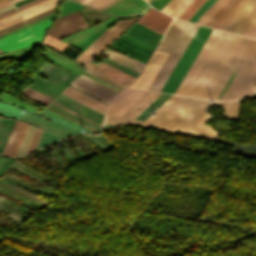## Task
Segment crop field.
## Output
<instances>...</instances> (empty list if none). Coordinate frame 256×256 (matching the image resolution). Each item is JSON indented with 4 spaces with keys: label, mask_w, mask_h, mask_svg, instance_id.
<instances>
[{
    "label": "crop field",
    "mask_w": 256,
    "mask_h": 256,
    "mask_svg": "<svg viewBox=\"0 0 256 256\" xmlns=\"http://www.w3.org/2000/svg\"><path fill=\"white\" fill-rule=\"evenodd\" d=\"M205 98L173 95L144 122L106 116L105 123H130L139 126L169 130L192 136L214 139L219 133L205 123L212 116L207 109L212 105L225 108L224 119L236 120L241 99L219 101ZM221 106V107H222Z\"/></svg>",
    "instance_id": "crop-field-1"
},
{
    "label": "crop field",
    "mask_w": 256,
    "mask_h": 256,
    "mask_svg": "<svg viewBox=\"0 0 256 256\" xmlns=\"http://www.w3.org/2000/svg\"><path fill=\"white\" fill-rule=\"evenodd\" d=\"M256 64V40L242 37L231 58L208 93V98L216 99L233 70L238 71L222 100L236 98L245 80Z\"/></svg>",
    "instance_id": "crop-field-2"
},
{
    "label": "crop field",
    "mask_w": 256,
    "mask_h": 256,
    "mask_svg": "<svg viewBox=\"0 0 256 256\" xmlns=\"http://www.w3.org/2000/svg\"><path fill=\"white\" fill-rule=\"evenodd\" d=\"M198 25L174 19L157 49L170 53L149 89L160 91L179 57L189 44Z\"/></svg>",
    "instance_id": "crop-field-3"
},
{
    "label": "crop field",
    "mask_w": 256,
    "mask_h": 256,
    "mask_svg": "<svg viewBox=\"0 0 256 256\" xmlns=\"http://www.w3.org/2000/svg\"><path fill=\"white\" fill-rule=\"evenodd\" d=\"M241 37L223 32L186 95L206 97Z\"/></svg>",
    "instance_id": "crop-field-4"
},
{
    "label": "crop field",
    "mask_w": 256,
    "mask_h": 256,
    "mask_svg": "<svg viewBox=\"0 0 256 256\" xmlns=\"http://www.w3.org/2000/svg\"><path fill=\"white\" fill-rule=\"evenodd\" d=\"M0 115L15 117L17 119L27 121L45 130L62 135L64 137L76 135L79 133H88L86 131L82 132V129L64 121L63 119L45 110L40 114V116L47 118L49 120H52V122H48L40 117H37L27 112L23 113L22 110L12 105L1 103V102H0Z\"/></svg>",
    "instance_id": "crop-field-5"
},
{
    "label": "crop field",
    "mask_w": 256,
    "mask_h": 256,
    "mask_svg": "<svg viewBox=\"0 0 256 256\" xmlns=\"http://www.w3.org/2000/svg\"><path fill=\"white\" fill-rule=\"evenodd\" d=\"M211 28L200 26L183 56L169 76L161 91L175 93L180 82L188 71L190 65L200 51L207 37L211 33Z\"/></svg>",
    "instance_id": "crop-field-6"
},
{
    "label": "crop field",
    "mask_w": 256,
    "mask_h": 256,
    "mask_svg": "<svg viewBox=\"0 0 256 256\" xmlns=\"http://www.w3.org/2000/svg\"><path fill=\"white\" fill-rule=\"evenodd\" d=\"M139 17L118 20L116 24L101 35L91 46H89L75 61L87 66L99 53L114 39L121 35Z\"/></svg>",
    "instance_id": "crop-field-7"
},
{
    "label": "crop field",
    "mask_w": 256,
    "mask_h": 256,
    "mask_svg": "<svg viewBox=\"0 0 256 256\" xmlns=\"http://www.w3.org/2000/svg\"><path fill=\"white\" fill-rule=\"evenodd\" d=\"M38 73L48 79L55 81L56 83L42 80L35 75L32 78V82L44 88H47L57 94H59L63 90V88L76 77V75L48 63H45L38 71Z\"/></svg>",
    "instance_id": "crop-field-8"
},
{
    "label": "crop field",
    "mask_w": 256,
    "mask_h": 256,
    "mask_svg": "<svg viewBox=\"0 0 256 256\" xmlns=\"http://www.w3.org/2000/svg\"><path fill=\"white\" fill-rule=\"evenodd\" d=\"M110 47L146 64L154 47L124 33Z\"/></svg>",
    "instance_id": "crop-field-9"
},
{
    "label": "crop field",
    "mask_w": 256,
    "mask_h": 256,
    "mask_svg": "<svg viewBox=\"0 0 256 256\" xmlns=\"http://www.w3.org/2000/svg\"><path fill=\"white\" fill-rule=\"evenodd\" d=\"M221 34L222 31L213 29L212 33L210 34L200 53L198 54L197 58L192 64L191 68L189 69L188 73L186 74L185 78L183 79L182 83L177 89V94L185 95L186 91L193 82L194 78L196 77L197 73L199 72L200 68L207 59L208 55L210 54L211 50L213 49Z\"/></svg>",
    "instance_id": "crop-field-10"
},
{
    "label": "crop field",
    "mask_w": 256,
    "mask_h": 256,
    "mask_svg": "<svg viewBox=\"0 0 256 256\" xmlns=\"http://www.w3.org/2000/svg\"><path fill=\"white\" fill-rule=\"evenodd\" d=\"M147 92L126 88L106 106V115L120 117Z\"/></svg>",
    "instance_id": "crop-field-11"
},
{
    "label": "crop field",
    "mask_w": 256,
    "mask_h": 256,
    "mask_svg": "<svg viewBox=\"0 0 256 256\" xmlns=\"http://www.w3.org/2000/svg\"><path fill=\"white\" fill-rule=\"evenodd\" d=\"M77 11L58 18L49 34L61 39L77 30L88 27Z\"/></svg>",
    "instance_id": "crop-field-12"
},
{
    "label": "crop field",
    "mask_w": 256,
    "mask_h": 256,
    "mask_svg": "<svg viewBox=\"0 0 256 256\" xmlns=\"http://www.w3.org/2000/svg\"><path fill=\"white\" fill-rule=\"evenodd\" d=\"M150 7L144 0H115L101 11L117 17L142 15Z\"/></svg>",
    "instance_id": "crop-field-13"
},
{
    "label": "crop field",
    "mask_w": 256,
    "mask_h": 256,
    "mask_svg": "<svg viewBox=\"0 0 256 256\" xmlns=\"http://www.w3.org/2000/svg\"><path fill=\"white\" fill-rule=\"evenodd\" d=\"M256 19V0H249L243 8L229 21L223 30L242 35Z\"/></svg>",
    "instance_id": "crop-field-14"
},
{
    "label": "crop field",
    "mask_w": 256,
    "mask_h": 256,
    "mask_svg": "<svg viewBox=\"0 0 256 256\" xmlns=\"http://www.w3.org/2000/svg\"><path fill=\"white\" fill-rule=\"evenodd\" d=\"M167 56V53L154 51L142 75L128 87L148 89Z\"/></svg>",
    "instance_id": "crop-field-15"
},
{
    "label": "crop field",
    "mask_w": 256,
    "mask_h": 256,
    "mask_svg": "<svg viewBox=\"0 0 256 256\" xmlns=\"http://www.w3.org/2000/svg\"><path fill=\"white\" fill-rule=\"evenodd\" d=\"M71 85L102 100L106 104L118 94L82 75L75 79Z\"/></svg>",
    "instance_id": "crop-field-16"
},
{
    "label": "crop field",
    "mask_w": 256,
    "mask_h": 256,
    "mask_svg": "<svg viewBox=\"0 0 256 256\" xmlns=\"http://www.w3.org/2000/svg\"><path fill=\"white\" fill-rule=\"evenodd\" d=\"M37 43L28 28L0 39V49L7 51Z\"/></svg>",
    "instance_id": "crop-field-17"
},
{
    "label": "crop field",
    "mask_w": 256,
    "mask_h": 256,
    "mask_svg": "<svg viewBox=\"0 0 256 256\" xmlns=\"http://www.w3.org/2000/svg\"><path fill=\"white\" fill-rule=\"evenodd\" d=\"M171 19H172L171 17L152 8L149 12H147L137 22H139V23L161 33V34H164Z\"/></svg>",
    "instance_id": "crop-field-18"
},
{
    "label": "crop field",
    "mask_w": 256,
    "mask_h": 256,
    "mask_svg": "<svg viewBox=\"0 0 256 256\" xmlns=\"http://www.w3.org/2000/svg\"><path fill=\"white\" fill-rule=\"evenodd\" d=\"M27 126L28 125L25 123L18 122V121L16 122L2 154L11 155V156L15 155Z\"/></svg>",
    "instance_id": "crop-field-19"
},
{
    "label": "crop field",
    "mask_w": 256,
    "mask_h": 256,
    "mask_svg": "<svg viewBox=\"0 0 256 256\" xmlns=\"http://www.w3.org/2000/svg\"><path fill=\"white\" fill-rule=\"evenodd\" d=\"M95 71L127 86L135 77L107 64L103 63Z\"/></svg>",
    "instance_id": "crop-field-20"
},
{
    "label": "crop field",
    "mask_w": 256,
    "mask_h": 256,
    "mask_svg": "<svg viewBox=\"0 0 256 256\" xmlns=\"http://www.w3.org/2000/svg\"><path fill=\"white\" fill-rule=\"evenodd\" d=\"M63 94L103 113V107L105 106V104L71 88V87H67L66 90L63 92Z\"/></svg>",
    "instance_id": "crop-field-21"
},
{
    "label": "crop field",
    "mask_w": 256,
    "mask_h": 256,
    "mask_svg": "<svg viewBox=\"0 0 256 256\" xmlns=\"http://www.w3.org/2000/svg\"><path fill=\"white\" fill-rule=\"evenodd\" d=\"M160 94L161 93L159 92L149 91L145 96H143L135 105H133L121 117L133 119L137 114H139L147 105H149Z\"/></svg>",
    "instance_id": "crop-field-22"
},
{
    "label": "crop field",
    "mask_w": 256,
    "mask_h": 256,
    "mask_svg": "<svg viewBox=\"0 0 256 256\" xmlns=\"http://www.w3.org/2000/svg\"><path fill=\"white\" fill-rule=\"evenodd\" d=\"M240 1L241 0H228L226 4L206 24V26L216 28Z\"/></svg>",
    "instance_id": "crop-field-23"
},
{
    "label": "crop field",
    "mask_w": 256,
    "mask_h": 256,
    "mask_svg": "<svg viewBox=\"0 0 256 256\" xmlns=\"http://www.w3.org/2000/svg\"><path fill=\"white\" fill-rule=\"evenodd\" d=\"M171 96H172L171 94L162 93L158 98H156L148 107H146L134 119L144 121L148 116H150L158 107H160Z\"/></svg>",
    "instance_id": "crop-field-24"
},
{
    "label": "crop field",
    "mask_w": 256,
    "mask_h": 256,
    "mask_svg": "<svg viewBox=\"0 0 256 256\" xmlns=\"http://www.w3.org/2000/svg\"><path fill=\"white\" fill-rule=\"evenodd\" d=\"M168 1L169 0H154L150 5L161 10ZM182 1L183 0H170L161 11L170 15Z\"/></svg>",
    "instance_id": "crop-field-25"
},
{
    "label": "crop field",
    "mask_w": 256,
    "mask_h": 256,
    "mask_svg": "<svg viewBox=\"0 0 256 256\" xmlns=\"http://www.w3.org/2000/svg\"><path fill=\"white\" fill-rule=\"evenodd\" d=\"M57 1H58V0H47V1H44V2H42V3H40V4L35 5V6H33V7H30V8H28V9H25V10L21 11L20 13H21L22 16H24V15H26V14H28V13H31V12H33V11H36V10H38V9H40V8H43V7H45V6H48V5H50V4H52V3H55V2H57ZM57 3H58V2H57ZM57 3H55V4H53V5H50V6H48V7H45V8H43V9H41V10L36 11V12H33V13L29 14V15H26V16H24V19H26V18H28V17H30V16H33V15H35V14H37V13H40V12H42V11H45V10H47V9H49V8H52V7L56 6Z\"/></svg>",
    "instance_id": "crop-field-26"
},
{
    "label": "crop field",
    "mask_w": 256,
    "mask_h": 256,
    "mask_svg": "<svg viewBox=\"0 0 256 256\" xmlns=\"http://www.w3.org/2000/svg\"><path fill=\"white\" fill-rule=\"evenodd\" d=\"M36 129H37L36 127L30 126V125L28 126L26 133L22 139V142L15 156H20L22 154H25Z\"/></svg>",
    "instance_id": "crop-field-27"
},
{
    "label": "crop field",
    "mask_w": 256,
    "mask_h": 256,
    "mask_svg": "<svg viewBox=\"0 0 256 256\" xmlns=\"http://www.w3.org/2000/svg\"><path fill=\"white\" fill-rule=\"evenodd\" d=\"M227 0H217L211 8L201 17V19L197 22L198 24L205 25L209 19L219 10V8L226 2Z\"/></svg>",
    "instance_id": "crop-field-28"
},
{
    "label": "crop field",
    "mask_w": 256,
    "mask_h": 256,
    "mask_svg": "<svg viewBox=\"0 0 256 256\" xmlns=\"http://www.w3.org/2000/svg\"><path fill=\"white\" fill-rule=\"evenodd\" d=\"M44 45L59 51L60 53L63 51V49L68 46V44L50 36L47 34L46 38L44 39L43 43Z\"/></svg>",
    "instance_id": "crop-field-29"
},
{
    "label": "crop field",
    "mask_w": 256,
    "mask_h": 256,
    "mask_svg": "<svg viewBox=\"0 0 256 256\" xmlns=\"http://www.w3.org/2000/svg\"><path fill=\"white\" fill-rule=\"evenodd\" d=\"M206 0H194V2L183 12L179 19L188 21L190 17L202 6Z\"/></svg>",
    "instance_id": "crop-field-30"
},
{
    "label": "crop field",
    "mask_w": 256,
    "mask_h": 256,
    "mask_svg": "<svg viewBox=\"0 0 256 256\" xmlns=\"http://www.w3.org/2000/svg\"><path fill=\"white\" fill-rule=\"evenodd\" d=\"M54 17L45 20L41 23H38L32 27H30L31 31L33 32V34L35 35L36 39L38 40V42L40 41L42 35H43V30L49 26V24L51 23V21L53 20Z\"/></svg>",
    "instance_id": "crop-field-31"
},
{
    "label": "crop field",
    "mask_w": 256,
    "mask_h": 256,
    "mask_svg": "<svg viewBox=\"0 0 256 256\" xmlns=\"http://www.w3.org/2000/svg\"><path fill=\"white\" fill-rule=\"evenodd\" d=\"M58 139H61V137L56 136L54 134H51V133L46 132V131L43 130L41 135H40V138L37 142V145H36L35 149L39 148V147H42V146H44V145H46V144H48L52 141L58 140Z\"/></svg>",
    "instance_id": "crop-field-32"
},
{
    "label": "crop field",
    "mask_w": 256,
    "mask_h": 256,
    "mask_svg": "<svg viewBox=\"0 0 256 256\" xmlns=\"http://www.w3.org/2000/svg\"><path fill=\"white\" fill-rule=\"evenodd\" d=\"M83 7H86V6H83V5L77 4L75 2L66 0V2L63 4L62 8L60 9V12H61L60 16L65 15V14L70 13V12H73L75 10L81 9Z\"/></svg>",
    "instance_id": "crop-field-33"
},
{
    "label": "crop field",
    "mask_w": 256,
    "mask_h": 256,
    "mask_svg": "<svg viewBox=\"0 0 256 256\" xmlns=\"http://www.w3.org/2000/svg\"><path fill=\"white\" fill-rule=\"evenodd\" d=\"M216 0H207L204 5L193 15V17L189 20L190 22L196 23L197 20L209 9V7L215 2Z\"/></svg>",
    "instance_id": "crop-field-34"
},
{
    "label": "crop field",
    "mask_w": 256,
    "mask_h": 256,
    "mask_svg": "<svg viewBox=\"0 0 256 256\" xmlns=\"http://www.w3.org/2000/svg\"><path fill=\"white\" fill-rule=\"evenodd\" d=\"M255 77H256V66L254 67L251 74L249 75L247 81L245 82L244 86L242 87V89H241L240 93L238 94L237 98L242 97V96L245 95V93L249 89L250 85L254 81Z\"/></svg>",
    "instance_id": "crop-field-35"
},
{
    "label": "crop field",
    "mask_w": 256,
    "mask_h": 256,
    "mask_svg": "<svg viewBox=\"0 0 256 256\" xmlns=\"http://www.w3.org/2000/svg\"><path fill=\"white\" fill-rule=\"evenodd\" d=\"M18 17H20V14H19V13L15 14V15H12V16H10V17H7V18H5V19H2V20H0V25L6 23V22H8V21H11V20H13V19H16V18H18ZM22 20H23V19L20 17V18H18V19H16V20H13V21L8 22V23H6V24H4V25H1V26H0V30L3 29V28L8 27V26H10V25H13V24H15V23H17V22H20V21H22Z\"/></svg>",
    "instance_id": "crop-field-36"
},
{
    "label": "crop field",
    "mask_w": 256,
    "mask_h": 256,
    "mask_svg": "<svg viewBox=\"0 0 256 256\" xmlns=\"http://www.w3.org/2000/svg\"><path fill=\"white\" fill-rule=\"evenodd\" d=\"M248 0H242L237 7L223 20V22L217 27L222 29L228 21L241 9V7L247 2Z\"/></svg>",
    "instance_id": "crop-field-37"
},
{
    "label": "crop field",
    "mask_w": 256,
    "mask_h": 256,
    "mask_svg": "<svg viewBox=\"0 0 256 256\" xmlns=\"http://www.w3.org/2000/svg\"><path fill=\"white\" fill-rule=\"evenodd\" d=\"M102 55H104V56H106V57H108V58H110V59H112V60H114V61H116V62H118V63H120V64H122V65H124V66H126V67H128L130 69H132V70H134V71H136V72H138V73H140V71H141V69H139V68H137V67H135V66H133V65H131V64H129V63H127V62H125V61H123V60H121V59H119V58H117V57H115V56L105 52V51H104V53Z\"/></svg>",
    "instance_id": "crop-field-38"
},
{
    "label": "crop field",
    "mask_w": 256,
    "mask_h": 256,
    "mask_svg": "<svg viewBox=\"0 0 256 256\" xmlns=\"http://www.w3.org/2000/svg\"><path fill=\"white\" fill-rule=\"evenodd\" d=\"M193 2V0H184L176 10L171 14V16L178 18L182 12Z\"/></svg>",
    "instance_id": "crop-field-39"
},
{
    "label": "crop field",
    "mask_w": 256,
    "mask_h": 256,
    "mask_svg": "<svg viewBox=\"0 0 256 256\" xmlns=\"http://www.w3.org/2000/svg\"><path fill=\"white\" fill-rule=\"evenodd\" d=\"M112 1L113 0H91L86 5L100 10Z\"/></svg>",
    "instance_id": "crop-field-40"
},
{
    "label": "crop field",
    "mask_w": 256,
    "mask_h": 256,
    "mask_svg": "<svg viewBox=\"0 0 256 256\" xmlns=\"http://www.w3.org/2000/svg\"><path fill=\"white\" fill-rule=\"evenodd\" d=\"M106 51H108V50H106ZM108 52H110V53H112V54H114V55H116V56H118V57H120V58H122V59H124V60H126V61H128V62H130V63H132V64H134L136 66H138V67H140V68H142V69L144 67V64H142L140 62H137V61H135V60H133V59L123 55V54L112 52V51H108Z\"/></svg>",
    "instance_id": "crop-field-41"
},
{
    "label": "crop field",
    "mask_w": 256,
    "mask_h": 256,
    "mask_svg": "<svg viewBox=\"0 0 256 256\" xmlns=\"http://www.w3.org/2000/svg\"><path fill=\"white\" fill-rule=\"evenodd\" d=\"M243 36L251 37L256 39V21L247 29Z\"/></svg>",
    "instance_id": "crop-field-42"
},
{
    "label": "crop field",
    "mask_w": 256,
    "mask_h": 256,
    "mask_svg": "<svg viewBox=\"0 0 256 256\" xmlns=\"http://www.w3.org/2000/svg\"><path fill=\"white\" fill-rule=\"evenodd\" d=\"M41 129H37V131H36V133H35V135H34V137H33V139H32V142H31V144H30V146H29V148H28V150H27V152H30V151H33V149H34V147H35V145H36V142H37V140H38V138H39V135H40V133H41ZM26 152V153H27Z\"/></svg>",
    "instance_id": "crop-field-43"
},
{
    "label": "crop field",
    "mask_w": 256,
    "mask_h": 256,
    "mask_svg": "<svg viewBox=\"0 0 256 256\" xmlns=\"http://www.w3.org/2000/svg\"><path fill=\"white\" fill-rule=\"evenodd\" d=\"M42 1H44V0H32V1H29V2H27V3H25V4H22V5L18 6V9H19V11H21V10H23V9H25V8H28V7H30V6H33V5H35V4H37V3H40V2H42ZM16 8H17V7H16Z\"/></svg>",
    "instance_id": "crop-field-44"
},
{
    "label": "crop field",
    "mask_w": 256,
    "mask_h": 256,
    "mask_svg": "<svg viewBox=\"0 0 256 256\" xmlns=\"http://www.w3.org/2000/svg\"><path fill=\"white\" fill-rule=\"evenodd\" d=\"M11 167H13V168L19 170L20 172H22V173H24V174H26V175H28V176H30V177H32V178H34V177L39 178V177H40V176H38V175H36V174H34V173H32V172L26 170V169L23 170V169L19 168L18 166L14 165V164H13ZM39 179H40V178H39Z\"/></svg>",
    "instance_id": "crop-field-45"
},
{
    "label": "crop field",
    "mask_w": 256,
    "mask_h": 256,
    "mask_svg": "<svg viewBox=\"0 0 256 256\" xmlns=\"http://www.w3.org/2000/svg\"><path fill=\"white\" fill-rule=\"evenodd\" d=\"M249 96H256V79L253 82L252 86L250 87L245 97H249Z\"/></svg>",
    "instance_id": "crop-field-46"
},
{
    "label": "crop field",
    "mask_w": 256,
    "mask_h": 256,
    "mask_svg": "<svg viewBox=\"0 0 256 256\" xmlns=\"http://www.w3.org/2000/svg\"><path fill=\"white\" fill-rule=\"evenodd\" d=\"M86 71H88V72H90V73H92V74H94V75H96V76H98V77H100V78H102V79H104V80H106V81H108V82H110V83H112V84L122 88V89L124 88L123 86H121V85H119V84H117V83H115V82H113V81H111V80H109V79H107V78H105V77H103V76H101V75H99V74L89 70V69H86Z\"/></svg>",
    "instance_id": "crop-field-47"
},
{
    "label": "crop field",
    "mask_w": 256,
    "mask_h": 256,
    "mask_svg": "<svg viewBox=\"0 0 256 256\" xmlns=\"http://www.w3.org/2000/svg\"><path fill=\"white\" fill-rule=\"evenodd\" d=\"M15 13H17L16 8L0 14V19L5 18V17L10 16V15L15 14Z\"/></svg>",
    "instance_id": "crop-field-48"
},
{
    "label": "crop field",
    "mask_w": 256,
    "mask_h": 256,
    "mask_svg": "<svg viewBox=\"0 0 256 256\" xmlns=\"http://www.w3.org/2000/svg\"><path fill=\"white\" fill-rule=\"evenodd\" d=\"M6 176H8V177H10V178H13V179H15V180H18V181H20V182H24V183H28L29 185H31V186H34L33 184H31V183H29V182H27V181H24V180H22V179H19V178H17V177H14V176H12V175H10V174H6ZM34 187H37V186H34Z\"/></svg>",
    "instance_id": "crop-field-49"
},
{
    "label": "crop field",
    "mask_w": 256,
    "mask_h": 256,
    "mask_svg": "<svg viewBox=\"0 0 256 256\" xmlns=\"http://www.w3.org/2000/svg\"><path fill=\"white\" fill-rule=\"evenodd\" d=\"M12 8H14V5H13V4H11V5L7 6V7H4V8H2V9H0V13H2V12H4V11H7V10H9V9H12Z\"/></svg>",
    "instance_id": "crop-field-50"
},
{
    "label": "crop field",
    "mask_w": 256,
    "mask_h": 256,
    "mask_svg": "<svg viewBox=\"0 0 256 256\" xmlns=\"http://www.w3.org/2000/svg\"><path fill=\"white\" fill-rule=\"evenodd\" d=\"M9 4H11V1H9V2H7V3H5V4L0 5V8H2V7H4V6H7V5H9Z\"/></svg>",
    "instance_id": "crop-field-51"
},
{
    "label": "crop field",
    "mask_w": 256,
    "mask_h": 256,
    "mask_svg": "<svg viewBox=\"0 0 256 256\" xmlns=\"http://www.w3.org/2000/svg\"><path fill=\"white\" fill-rule=\"evenodd\" d=\"M7 1H9V0H0V4L5 3Z\"/></svg>",
    "instance_id": "crop-field-52"
},
{
    "label": "crop field",
    "mask_w": 256,
    "mask_h": 256,
    "mask_svg": "<svg viewBox=\"0 0 256 256\" xmlns=\"http://www.w3.org/2000/svg\"><path fill=\"white\" fill-rule=\"evenodd\" d=\"M0 204H2V203H0ZM3 205V204H2ZM5 206V205H4ZM2 207V206H1ZM5 207H7V206H5ZM2 208H4V207H2ZM8 209H10V210H12L13 211V209H11V208H9V207H7ZM4 209H6V208H4ZM7 210V209H6ZM9 211V210H8ZM7 211V212H8Z\"/></svg>",
    "instance_id": "crop-field-53"
},
{
    "label": "crop field",
    "mask_w": 256,
    "mask_h": 256,
    "mask_svg": "<svg viewBox=\"0 0 256 256\" xmlns=\"http://www.w3.org/2000/svg\"><path fill=\"white\" fill-rule=\"evenodd\" d=\"M19 164V163H18ZM20 165H22V164H20ZM22 166H24V165H22ZM24 167H26V166H24ZM27 168V167H26ZM27 169H29V168H27ZM30 170V169H29ZM32 171V170H31ZM34 172V171H33ZM36 173V172H35ZM38 174V173H37ZM40 175V174H39ZM42 176V175H41ZM44 177V176H43Z\"/></svg>",
    "instance_id": "crop-field-54"
},
{
    "label": "crop field",
    "mask_w": 256,
    "mask_h": 256,
    "mask_svg": "<svg viewBox=\"0 0 256 256\" xmlns=\"http://www.w3.org/2000/svg\"><path fill=\"white\" fill-rule=\"evenodd\" d=\"M2 178H3V177H2ZM4 179H5V178H4ZM7 180H8V179H7ZM10 181H11V180H10ZM12 182H13V181H12ZM16 182H17V181H16ZM16 182H15V183H16ZM19 183H20V182H19ZM19 183H18V184H19ZM21 184H23V183H21ZM21 184H20V185H21ZM24 185H25V184H24ZM24 185H23V186H24Z\"/></svg>",
    "instance_id": "crop-field-55"
},
{
    "label": "crop field",
    "mask_w": 256,
    "mask_h": 256,
    "mask_svg": "<svg viewBox=\"0 0 256 256\" xmlns=\"http://www.w3.org/2000/svg\"><path fill=\"white\" fill-rule=\"evenodd\" d=\"M17 1H20V0H13V3L17 2Z\"/></svg>",
    "instance_id": "crop-field-56"
},
{
    "label": "crop field",
    "mask_w": 256,
    "mask_h": 256,
    "mask_svg": "<svg viewBox=\"0 0 256 256\" xmlns=\"http://www.w3.org/2000/svg\"><path fill=\"white\" fill-rule=\"evenodd\" d=\"M73 1H77V2H79V1H81V0H73Z\"/></svg>",
    "instance_id": "crop-field-57"
},
{
    "label": "crop field",
    "mask_w": 256,
    "mask_h": 256,
    "mask_svg": "<svg viewBox=\"0 0 256 256\" xmlns=\"http://www.w3.org/2000/svg\"><path fill=\"white\" fill-rule=\"evenodd\" d=\"M6 200V199H5ZM8 201V200H7ZM10 202V201H9ZM12 203V202H11ZM14 204V203H13ZM16 205V204H15ZM18 206V205H17ZM20 207V206H19Z\"/></svg>",
    "instance_id": "crop-field-58"
},
{
    "label": "crop field",
    "mask_w": 256,
    "mask_h": 256,
    "mask_svg": "<svg viewBox=\"0 0 256 256\" xmlns=\"http://www.w3.org/2000/svg\"><path fill=\"white\" fill-rule=\"evenodd\" d=\"M4 202V201H3ZM6 203V202H5ZM8 204V203H7ZM10 205V204H9ZM12 206V205H11ZM14 207V206H13Z\"/></svg>",
    "instance_id": "crop-field-59"
},
{
    "label": "crop field",
    "mask_w": 256,
    "mask_h": 256,
    "mask_svg": "<svg viewBox=\"0 0 256 256\" xmlns=\"http://www.w3.org/2000/svg\"><path fill=\"white\" fill-rule=\"evenodd\" d=\"M3 191V190H2ZM11 194V193H10ZM13 195V194H12ZM27 203V202H26ZM29 204V203H28Z\"/></svg>",
    "instance_id": "crop-field-60"
},
{
    "label": "crop field",
    "mask_w": 256,
    "mask_h": 256,
    "mask_svg": "<svg viewBox=\"0 0 256 256\" xmlns=\"http://www.w3.org/2000/svg\"><path fill=\"white\" fill-rule=\"evenodd\" d=\"M147 2L149 1V0H146Z\"/></svg>",
    "instance_id": "crop-field-61"
},
{
    "label": "crop field",
    "mask_w": 256,
    "mask_h": 256,
    "mask_svg": "<svg viewBox=\"0 0 256 256\" xmlns=\"http://www.w3.org/2000/svg\"><path fill=\"white\" fill-rule=\"evenodd\" d=\"M0 53H1V51H0Z\"/></svg>",
    "instance_id": "crop-field-62"
}]
</instances>
